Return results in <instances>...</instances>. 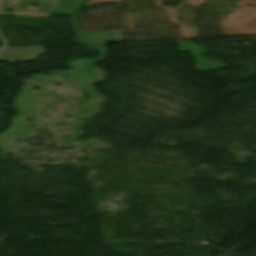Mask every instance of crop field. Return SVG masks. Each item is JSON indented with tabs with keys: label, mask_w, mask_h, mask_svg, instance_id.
<instances>
[{
	"label": "crop field",
	"mask_w": 256,
	"mask_h": 256,
	"mask_svg": "<svg viewBox=\"0 0 256 256\" xmlns=\"http://www.w3.org/2000/svg\"><path fill=\"white\" fill-rule=\"evenodd\" d=\"M73 0L54 1L51 14L71 15Z\"/></svg>",
	"instance_id": "crop-field-2"
},
{
	"label": "crop field",
	"mask_w": 256,
	"mask_h": 256,
	"mask_svg": "<svg viewBox=\"0 0 256 256\" xmlns=\"http://www.w3.org/2000/svg\"><path fill=\"white\" fill-rule=\"evenodd\" d=\"M85 0H75L73 15L70 18L74 30L81 43L115 42L118 41L116 31L81 33L79 26L74 19L75 13ZM78 12V11H77Z\"/></svg>",
	"instance_id": "crop-field-1"
}]
</instances>
